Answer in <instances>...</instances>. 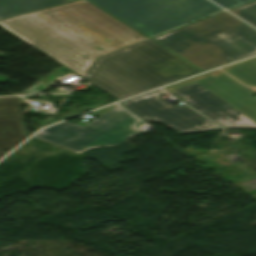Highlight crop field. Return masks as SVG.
<instances>
[{"mask_svg": "<svg viewBox=\"0 0 256 256\" xmlns=\"http://www.w3.org/2000/svg\"><path fill=\"white\" fill-rule=\"evenodd\" d=\"M0 26L81 76L96 56L145 39L86 0L3 19Z\"/></svg>", "mask_w": 256, "mask_h": 256, "instance_id": "crop-field-1", "label": "crop field"}, {"mask_svg": "<svg viewBox=\"0 0 256 256\" xmlns=\"http://www.w3.org/2000/svg\"><path fill=\"white\" fill-rule=\"evenodd\" d=\"M198 73L147 39L97 59L83 78L121 100Z\"/></svg>", "mask_w": 256, "mask_h": 256, "instance_id": "crop-field-2", "label": "crop field"}, {"mask_svg": "<svg viewBox=\"0 0 256 256\" xmlns=\"http://www.w3.org/2000/svg\"><path fill=\"white\" fill-rule=\"evenodd\" d=\"M152 39L204 71L256 54V30L226 12Z\"/></svg>", "mask_w": 256, "mask_h": 256, "instance_id": "crop-field-3", "label": "crop field"}, {"mask_svg": "<svg viewBox=\"0 0 256 256\" xmlns=\"http://www.w3.org/2000/svg\"><path fill=\"white\" fill-rule=\"evenodd\" d=\"M164 89L226 129L256 128V94L220 70Z\"/></svg>", "mask_w": 256, "mask_h": 256, "instance_id": "crop-field-4", "label": "crop field"}, {"mask_svg": "<svg viewBox=\"0 0 256 256\" xmlns=\"http://www.w3.org/2000/svg\"><path fill=\"white\" fill-rule=\"evenodd\" d=\"M89 1L148 37L223 10L208 0Z\"/></svg>", "mask_w": 256, "mask_h": 256, "instance_id": "crop-field-5", "label": "crop field"}, {"mask_svg": "<svg viewBox=\"0 0 256 256\" xmlns=\"http://www.w3.org/2000/svg\"><path fill=\"white\" fill-rule=\"evenodd\" d=\"M137 120L115 105L83 127L64 121L34 136L81 153L89 148L117 145L142 133L132 127Z\"/></svg>", "mask_w": 256, "mask_h": 256, "instance_id": "crop-field-6", "label": "crop field"}, {"mask_svg": "<svg viewBox=\"0 0 256 256\" xmlns=\"http://www.w3.org/2000/svg\"><path fill=\"white\" fill-rule=\"evenodd\" d=\"M161 89L119 103L142 120L161 122L178 134L220 129L185 106H170Z\"/></svg>", "mask_w": 256, "mask_h": 256, "instance_id": "crop-field-7", "label": "crop field"}, {"mask_svg": "<svg viewBox=\"0 0 256 256\" xmlns=\"http://www.w3.org/2000/svg\"><path fill=\"white\" fill-rule=\"evenodd\" d=\"M27 137L29 135L22 116L0 117V158Z\"/></svg>", "mask_w": 256, "mask_h": 256, "instance_id": "crop-field-8", "label": "crop field"}, {"mask_svg": "<svg viewBox=\"0 0 256 256\" xmlns=\"http://www.w3.org/2000/svg\"><path fill=\"white\" fill-rule=\"evenodd\" d=\"M66 2L67 0H0V19Z\"/></svg>", "mask_w": 256, "mask_h": 256, "instance_id": "crop-field-9", "label": "crop field"}, {"mask_svg": "<svg viewBox=\"0 0 256 256\" xmlns=\"http://www.w3.org/2000/svg\"><path fill=\"white\" fill-rule=\"evenodd\" d=\"M242 83L256 87V57L222 68Z\"/></svg>", "mask_w": 256, "mask_h": 256, "instance_id": "crop-field-10", "label": "crop field"}, {"mask_svg": "<svg viewBox=\"0 0 256 256\" xmlns=\"http://www.w3.org/2000/svg\"><path fill=\"white\" fill-rule=\"evenodd\" d=\"M228 11L256 27V1Z\"/></svg>", "mask_w": 256, "mask_h": 256, "instance_id": "crop-field-11", "label": "crop field"}, {"mask_svg": "<svg viewBox=\"0 0 256 256\" xmlns=\"http://www.w3.org/2000/svg\"><path fill=\"white\" fill-rule=\"evenodd\" d=\"M22 115L17 97L0 98V116Z\"/></svg>", "mask_w": 256, "mask_h": 256, "instance_id": "crop-field-12", "label": "crop field"}, {"mask_svg": "<svg viewBox=\"0 0 256 256\" xmlns=\"http://www.w3.org/2000/svg\"><path fill=\"white\" fill-rule=\"evenodd\" d=\"M212 1H214L218 5L228 10L230 8L240 6L242 4L248 3L253 0H212Z\"/></svg>", "mask_w": 256, "mask_h": 256, "instance_id": "crop-field-13", "label": "crop field"}, {"mask_svg": "<svg viewBox=\"0 0 256 256\" xmlns=\"http://www.w3.org/2000/svg\"><path fill=\"white\" fill-rule=\"evenodd\" d=\"M252 89L256 91V88H252Z\"/></svg>", "mask_w": 256, "mask_h": 256, "instance_id": "crop-field-14", "label": "crop field"}, {"mask_svg": "<svg viewBox=\"0 0 256 256\" xmlns=\"http://www.w3.org/2000/svg\"><path fill=\"white\" fill-rule=\"evenodd\" d=\"M69 1H71V0H69Z\"/></svg>", "mask_w": 256, "mask_h": 256, "instance_id": "crop-field-15", "label": "crop field"}]
</instances>
